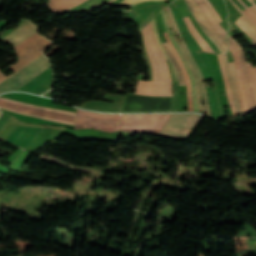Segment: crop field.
Here are the masks:
<instances>
[{
    "mask_svg": "<svg viewBox=\"0 0 256 256\" xmlns=\"http://www.w3.org/2000/svg\"><path fill=\"white\" fill-rule=\"evenodd\" d=\"M142 32L146 50L153 68V82L139 80L135 93L151 96H172L170 72L154 37L151 23H149Z\"/></svg>",
    "mask_w": 256,
    "mask_h": 256,
    "instance_id": "1",
    "label": "crop field"
},
{
    "mask_svg": "<svg viewBox=\"0 0 256 256\" xmlns=\"http://www.w3.org/2000/svg\"><path fill=\"white\" fill-rule=\"evenodd\" d=\"M40 37L41 35L38 32H35L33 35H31L26 40H24L23 42L18 44L16 47H14L16 53L20 52L21 50H23L25 47H27L28 45H30ZM50 44L51 42L42 36L36 42H34L30 46H28L26 49L21 51L19 54H17L18 61H16L14 64L8 67L10 69H13L14 72L5 77L0 71V83L5 79H7L8 77H10L11 75H13L15 72H17L21 68H23L25 65H27L28 63L36 59L38 56H40L42 54L41 51H43Z\"/></svg>",
    "mask_w": 256,
    "mask_h": 256,
    "instance_id": "2",
    "label": "crop field"
},
{
    "mask_svg": "<svg viewBox=\"0 0 256 256\" xmlns=\"http://www.w3.org/2000/svg\"><path fill=\"white\" fill-rule=\"evenodd\" d=\"M170 114L122 115L119 130L158 135Z\"/></svg>",
    "mask_w": 256,
    "mask_h": 256,
    "instance_id": "3",
    "label": "crop field"
},
{
    "mask_svg": "<svg viewBox=\"0 0 256 256\" xmlns=\"http://www.w3.org/2000/svg\"><path fill=\"white\" fill-rule=\"evenodd\" d=\"M0 106L15 110V111H19L22 113L39 116V117H43V118H48V119H52V120H57V121H61V122L72 123V124H74L75 115H76V113H74V112H68V111H63V110L35 106V105H31V104L11 100V99H6V98H2V97H0ZM12 110H10V111H12ZM15 111H13V112H15ZM19 112H17V113H19Z\"/></svg>",
    "mask_w": 256,
    "mask_h": 256,
    "instance_id": "4",
    "label": "crop field"
},
{
    "mask_svg": "<svg viewBox=\"0 0 256 256\" xmlns=\"http://www.w3.org/2000/svg\"><path fill=\"white\" fill-rule=\"evenodd\" d=\"M50 66L45 55H41L36 60L28 64L26 67L15 73L13 76L0 84V93L10 90H16L41 71Z\"/></svg>",
    "mask_w": 256,
    "mask_h": 256,
    "instance_id": "5",
    "label": "crop field"
},
{
    "mask_svg": "<svg viewBox=\"0 0 256 256\" xmlns=\"http://www.w3.org/2000/svg\"><path fill=\"white\" fill-rule=\"evenodd\" d=\"M201 117L202 116L195 114H171L160 133L189 137ZM162 134L159 135L185 140L188 139L184 137L168 136Z\"/></svg>",
    "mask_w": 256,
    "mask_h": 256,
    "instance_id": "6",
    "label": "crop field"
},
{
    "mask_svg": "<svg viewBox=\"0 0 256 256\" xmlns=\"http://www.w3.org/2000/svg\"><path fill=\"white\" fill-rule=\"evenodd\" d=\"M78 117H84L92 120H114L119 121L120 115L114 114H105V113H96V112H88L78 110L77 115ZM76 117L75 126L74 128H94L100 129L108 132H115L118 129L119 122L113 121H91L84 118Z\"/></svg>",
    "mask_w": 256,
    "mask_h": 256,
    "instance_id": "7",
    "label": "crop field"
},
{
    "mask_svg": "<svg viewBox=\"0 0 256 256\" xmlns=\"http://www.w3.org/2000/svg\"><path fill=\"white\" fill-rule=\"evenodd\" d=\"M228 40L230 45L235 49L237 56L239 58L240 67L242 71V76L244 80V88L245 94L248 102V107L250 112L256 110V92L253 85V81L249 72V68L247 65V60L244 55V51L241 46L237 43L236 39H234L230 34L228 35Z\"/></svg>",
    "mask_w": 256,
    "mask_h": 256,
    "instance_id": "8",
    "label": "crop field"
},
{
    "mask_svg": "<svg viewBox=\"0 0 256 256\" xmlns=\"http://www.w3.org/2000/svg\"><path fill=\"white\" fill-rule=\"evenodd\" d=\"M200 28L215 43L221 53L227 51V42L215 31L195 0H185Z\"/></svg>",
    "mask_w": 256,
    "mask_h": 256,
    "instance_id": "9",
    "label": "crop field"
},
{
    "mask_svg": "<svg viewBox=\"0 0 256 256\" xmlns=\"http://www.w3.org/2000/svg\"><path fill=\"white\" fill-rule=\"evenodd\" d=\"M125 96L126 95L105 93V95L98 98V100L112 101L116 103L87 101L80 107L95 111L121 112Z\"/></svg>",
    "mask_w": 256,
    "mask_h": 256,
    "instance_id": "10",
    "label": "crop field"
},
{
    "mask_svg": "<svg viewBox=\"0 0 256 256\" xmlns=\"http://www.w3.org/2000/svg\"><path fill=\"white\" fill-rule=\"evenodd\" d=\"M52 81H53V77H52L51 68L48 67L46 70L41 72L32 80H30L25 85L20 87L18 90L42 94L45 91H47L49 88H51Z\"/></svg>",
    "mask_w": 256,
    "mask_h": 256,
    "instance_id": "11",
    "label": "crop field"
},
{
    "mask_svg": "<svg viewBox=\"0 0 256 256\" xmlns=\"http://www.w3.org/2000/svg\"><path fill=\"white\" fill-rule=\"evenodd\" d=\"M41 129L39 127L18 125L6 141L26 148Z\"/></svg>",
    "mask_w": 256,
    "mask_h": 256,
    "instance_id": "12",
    "label": "crop field"
},
{
    "mask_svg": "<svg viewBox=\"0 0 256 256\" xmlns=\"http://www.w3.org/2000/svg\"><path fill=\"white\" fill-rule=\"evenodd\" d=\"M222 57H223V63H224L226 75L229 80L231 95H232V98L234 101L235 109H236L238 115H243L244 111H243V107H242V103H241V99H240V95H239V89H238V83H237V77H236V73H235L234 63L228 64L226 54L222 55Z\"/></svg>",
    "mask_w": 256,
    "mask_h": 256,
    "instance_id": "13",
    "label": "crop field"
},
{
    "mask_svg": "<svg viewBox=\"0 0 256 256\" xmlns=\"http://www.w3.org/2000/svg\"><path fill=\"white\" fill-rule=\"evenodd\" d=\"M35 31H37V29L34 24L27 20H21L19 26L1 40L11 42L13 46H16Z\"/></svg>",
    "mask_w": 256,
    "mask_h": 256,
    "instance_id": "14",
    "label": "crop field"
},
{
    "mask_svg": "<svg viewBox=\"0 0 256 256\" xmlns=\"http://www.w3.org/2000/svg\"><path fill=\"white\" fill-rule=\"evenodd\" d=\"M167 9H168V12H169V14H170V17H171V19H172V22H173V24H174L176 33H177V35L179 36V38H180V40H181V43H182V45H183V47H184V50H185V52H186L188 58L190 59L191 63L193 64V66H194V68H195V70H196V72H197V74H198V76H199V78H200L201 89H202V94H203V98H204L206 113H207L208 115H211V114H210V110H209V106H208V102H207L205 86H204V84H203V81H204V80H203L202 74H201V72H200V70H199V68H198V66H197V64H196V62H195L193 56H192L191 53L189 52L188 47H187L186 43L184 42V40H183V38H182V36H181V34H180L178 28H177L175 19H174V17H173V14H172V12H171L169 6L167 7Z\"/></svg>",
    "mask_w": 256,
    "mask_h": 256,
    "instance_id": "15",
    "label": "crop field"
},
{
    "mask_svg": "<svg viewBox=\"0 0 256 256\" xmlns=\"http://www.w3.org/2000/svg\"><path fill=\"white\" fill-rule=\"evenodd\" d=\"M162 13H163L164 20H165V23H166V26H167L169 37H170L172 43L174 44V46H175V48H176V50H177V52H178V54H179L183 64H184V66H185V68H186V70H187V72L189 74V77L191 79V83H192V99H193L194 111L199 112V106H198V103H197V100H196V84H195V80H194L193 74H192V72H191L187 62L184 59L185 57L183 58V56H182V54H181V52H180V50H179V48H178V46H177V44L175 42V39H174V37H173V35H172L171 31H170V27H169V24H168V21H167V17H166V13H165L164 9H163Z\"/></svg>",
    "mask_w": 256,
    "mask_h": 256,
    "instance_id": "16",
    "label": "crop field"
},
{
    "mask_svg": "<svg viewBox=\"0 0 256 256\" xmlns=\"http://www.w3.org/2000/svg\"><path fill=\"white\" fill-rule=\"evenodd\" d=\"M86 0H48L54 13H63Z\"/></svg>",
    "mask_w": 256,
    "mask_h": 256,
    "instance_id": "17",
    "label": "crop field"
},
{
    "mask_svg": "<svg viewBox=\"0 0 256 256\" xmlns=\"http://www.w3.org/2000/svg\"><path fill=\"white\" fill-rule=\"evenodd\" d=\"M200 57V59L202 60L210 78H211V82L213 84V87H212V91H213V95H214V102H215V106H216V110H217V114H218V118H223V115L220 111V105H219V100H218V97H217V90H216V84H215V80H214V76H213V73H212V70H211V67L209 65V62L207 60V58L205 57L204 53H197Z\"/></svg>",
    "mask_w": 256,
    "mask_h": 256,
    "instance_id": "18",
    "label": "crop field"
},
{
    "mask_svg": "<svg viewBox=\"0 0 256 256\" xmlns=\"http://www.w3.org/2000/svg\"><path fill=\"white\" fill-rule=\"evenodd\" d=\"M197 3L199 4V6L201 7V9L203 10V12L205 13V15L207 16V18L209 19V21L212 23V25L214 26V28L216 29V31L225 38L226 35V30L218 23V21L214 18V16L212 15L211 11L209 10L208 6L206 5V3L204 2V0H196Z\"/></svg>",
    "mask_w": 256,
    "mask_h": 256,
    "instance_id": "19",
    "label": "crop field"
},
{
    "mask_svg": "<svg viewBox=\"0 0 256 256\" xmlns=\"http://www.w3.org/2000/svg\"><path fill=\"white\" fill-rule=\"evenodd\" d=\"M184 20L190 30V32L192 33V35L194 36V38L196 39V41L198 42V44L200 45V47L206 51V52H212L214 53V51L212 50V48L205 42V40L201 37V35L198 33V31L195 29L191 19L189 18V16L184 17Z\"/></svg>",
    "mask_w": 256,
    "mask_h": 256,
    "instance_id": "20",
    "label": "crop field"
},
{
    "mask_svg": "<svg viewBox=\"0 0 256 256\" xmlns=\"http://www.w3.org/2000/svg\"><path fill=\"white\" fill-rule=\"evenodd\" d=\"M235 23L251 38L256 47V29L242 15Z\"/></svg>",
    "mask_w": 256,
    "mask_h": 256,
    "instance_id": "21",
    "label": "crop field"
},
{
    "mask_svg": "<svg viewBox=\"0 0 256 256\" xmlns=\"http://www.w3.org/2000/svg\"><path fill=\"white\" fill-rule=\"evenodd\" d=\"M164 35L167 38V40H168V42H169V44H170V46H171L175 56H176V59H177L179 65H180V67H181V69H182V71H183V73L185 75V79H186V83H187V90H188V99H189L190 96H191V83H190V79H189L188 74H187V72H186V70H185V68H184V66H183V64H182V62H181V60H180L176 50L174 49V47H173V45H172V43H171L167 33H165ZM188 106H189V111H193L192 99L191 98L188 100Z\"/></svg>",
    "mask_w": 256,
    "mask_h": 256,
    "instance_id": "22",
    "label": "crop field"
},
{
    "mask_svg": "<svg viewBox=\"0 0 256 256\" xmlns=\"http://www.w3.org/2000/svg\"><path fill=\"white\" fill-rule=\"evenodd\" d=\"M230 47V51L232 53V56L234 58L235 61V66H236V72H237V77H238V83H239V89H240V95L242 98V102H243V107L245 110V114L248 113V108H247V103H246V98H245V94H244V90H243V85H242V79H241V72L239 69V65H238V61H237V56L236 53L234 52V50L232 49V47L229 45Z\"/></svg>",
    "mask_w": 256,
    "mask_h": 256,
    "instance_id": "23",
    "label": "crop field"
},
{
    "mask_svg": "<svg viewBox=\"0 0 256 256\" xmlns=\"http://www.w3.org/2000/svg\"><path fill=\"white\" fill-rule=\"evenodd\" d=\"M162 44L166 48V50H167V52H168V54H169V56H170V58H171V60H172V62L174 64V67H175L176 72H177V76L179 78L180 86L185 85V80H184L183 73H182V71H181V69H180V67H179V65H178V63H177V61H176V59H175V57H174L170 47H169V45H168V42H164Z\"/></svg>",
    "mask_w": 256,
    "mask_h": 256,
    "instance_id": "24",
    "label": "crop field"
},
{
    "mask_svg": "<svg viewBox=\"0 0 256 256\" xmlns=\"http://www.w3.org/2000/svg\"><path fill=\"white\" fill-rule=\"evenodd\" d=\"M217 56H218V59H219V62H220V66H221V70H222V74H223V78H224V82H225V87H226V92H227V95H228L231 110H232V113H233L234 117H236L237 115H236L234 105H233V102H232V99H231L230 90H229L227 78H226L223 63H222V57H221V55H217Z\"/></svg>",
    "mask_w": 256,
    "mask_h": 256,
    "instance_id": "25",
    "label": "crop field"
},
{
    "mask_svg": "<svg viewBox=\"0 0 256 256\" xmlns=\"http://www.w3.org/2000/svg\"><path fill=\"white\" fill-rule=\"evenodd\" d=\"M172 5H173V7H174V9H175V11H176L178 17H179V19H180V21H181V23H182L184 29H185V32H186L188 38H189L190 41L192 42L194 48L196 49V51L200 50V47H199L198 44L196 43L195 39L193 38V36L191 35V33L188 31V29H187V27H186V25H185V23H184V21H183V19H182V16H181V14H180V12H179V10H178V8H177L175 2L172 3Z\"/></svg>",
    "mask_w": 256,
    "mask_h": 256,
    "instance_id": "26",
    "label": "crop field"
},
{
    "mask_svg": "<svg viewBox=\"0 0 256 256\" xmlns=\"http://www.w3.org/2000/svg\"><path fill=\"white\" fill-rule=\"evenodd\" d=\"M142 1H165V0H123L121 3L119 4H123V5H135L138 4Z\"/></svg>",
    "mask_w": 256,
    "mask_h": 256,
    "instance_id": "27",
    "label": "crop field"
},
{
    "mask_svg": "<svg viewBox=\"0 0 256 256\" xmlns=\"http://www.w3.org/2000/svg\"><path fill=\"white\" fill-rule=\"evenodd\" d=\"M234 6H235V8L241 13V14H243L244 16H245V18L247 19V20H249L253 25H254V27L256 28V24L232 1V0H229Z\"/></svg>",
    "mask_w": 256,
    "mask_h": 256,
    "instance_id": "28",
    "label": "crop field"
},
{
    "mask_svg": "<svg viewBox=\"0 0 256 256\" xmlns=\"http://www.w3.org/2000/svg\"><path fill=\"white\" fill-rule=\"evenodd\" d=\"M153 21H154V19H153ZM154 25H155V22H154ZM155 30H156V33H157L156 25H155ZM157 36H158V38H159L158 33H157ZM159 40H160V38H159ZM161 45H162V44H161ZM162 47H163V45H162ZM163 49H164V47H163ZM164 51H165V49H164ZM165 53H166V51H165ZM166 55H167V53H166ZM167 57H168V55H167ZM168 59H169V62H170V64H171V66H172V69H173V72H174V76H175V80H178V78H177V76H176V73H175V69H174V67H173V65H172V63H171V61H170V58L168 57Z\"/></svg>",
    "mask_w": 256,
    "mask_h": 256,
    "instance_id": "29",
    "label": "crop field"
},
{
    "mask_svg": "<svg viewBox=\"0 0 256 256\" xmlns=\"http://www.w3.org/2000/svg\"><path fill=\"white\" fill-rule=\"evenodd\" d=\"M205 2H206L207 5L211 8V10H212L214 16L216 17V19H217L219 22H221V19H220V18L218 17V15L216 14V12H215L213 6L210 4V2H209L208 0H205Z\"/></svg>",
    "mask_w": 256,
    "mask_h": 256,
    "instance_id": "30",
    "label": "crop field"
},
{
    "mask_svg": "<svg viewBox=\"0 0 256 256\" xmlns=\"http://www.w3.org/2000/svg\"><path fill=\"white\" fill-rule=\"evenodd\" d=\"M249 68H250L251 75H252V78H253V81H254V85H255V88H256V76L254 74V71H253V68H252L251 64H249Z\"/></svg>",
    "mask_w": 256,
    "mask_h": 256,
    "instance_id": "31",
    "label": "crop field"
},
{
    "mask_svg": "<svg viewBox=\"0 0 256 256\" xmlns=\"http://www.w3.org/2000/svg\"><path fill=\"white\" fill-rule=\"evenodd\" d=\"M131 95H136V94H131ZM139 96H142V95H139ZM127 97H128V94H127V96H126V99H127ZM163 98H171V111H172V97H163ZM126 99H125V102H124V106H123L122 112H124V109H125Z\"/></svg>",
    "mask_w": 256,
    "mask_h": 256,
    "instance_id": "32",
    "label": "crop field"
},
{
    "mask_svg": "<svg viewBox=\"0 0 256 256\" xmlns=\"http://www.w3.org/2000/svg\"><path fill=\"white\" fill-rule=\"evenodd\" d=\"M239 2H240L251 14H253V15L256 17V14H255L252 10H250V9L242 2V0H239Z\"/></svg>",
    "mask_w": 256,
    "mask_h": 256,
    "instance_id": "33",
    "label": "crop field"
},
{
    "mask_svg": "<svg viewBox=\"0 0 256 256\" xmlns=\"http://www.w3.org/2000/svg\"><path fill=\"white\" fill-rule=\"evenodd\" d=\"M152 25H153V21H152ZM153 29H154V25H153ZM154 33H155V30H154ZM155 36H156V34H155ZM156 38H157V36H156ZM157 41H158V38H157ZM158 43H159V41H158ZM159 46L161 48L160 43H159ZM161 50H162V48H161ZM162 52H163V50H162ZM163 54H164V52H163ZM164 56H165V54H164ZM165 59L167 60L166 56H165Z\"/></svg>",
    "mask_w": 256,
    "mask_h": 256,
    "instance_id": "34",
    "label": "crop field"
},
{
    "mask_svg": "<svg viewBox=\"0 0 256 256\" xmlns=\"http://www.w3.org/2000/svg\"><path fill=\"white\" fill-rule=\"evenodd\" d=\"M253 6L256 7V3L253 0H249Z\"/></svg>",
    "mask_w": 256,
    "mask_h": 256,
    "instance_id": "35",
    "label": "crop field"
},
{
    "mask_svg": "<svg viewBox=\"0 0 256 256\" xmlns=\"http://www.w3.org/2000/svg\"><path fill=\"white\" fill-rule=\"evenodd\" d=\"M255 7V6H254ZM253 6L249 7L251 8L255 13H256V9Z\"/></svg>",
    "mask_w": 256,
    "mask_h": 256,
    "instance_id": "36",
    "label": "crop field"
},
{
    "mask_svg": "<svg viewBox=\"0 0 256 256\" xmlns=\"http://www.w3.org/2000/svg\"><path fill=\"white\" fill-rule=\"evenodd\" d=\"M244 12H245V11H244ZM245 13H246V12H245ZM249 15H250L252 18H254V19L256 20V18H255V17H253L250 13H249ZM254 19H253V20H254ZM255 20H254V21H255ZM255 22H256V21H255Z\"/></svg>",
    "mask_w": 256,
    "mask_h": 256,
    "instance_id": "37",
    "label": "crop field"
},
{
    "mask_svg": "<svg viewBox=\"0 0 256 256\" xmlns=\"http://www.w3.org/2000/svg\"><path fill=\"white\" fill-rule=\"evenodd\" d=\"M254 71H255V74H256V66H254Z\"/></svg>",
    "mask_w": 256,
    "mask_h": 256,
    "instance_id": "38",
    "label": "crop field"
},
{
    "mask_svg": "<svg viewBox=\"0 0 256 256\" xmlns=\"http://www.w3.org/2000/svg\"><path fill=\"white\" fill-rule=\"evenodd\" d=\"M112 1H114V0H111L109 3H111Z\"/></svg>",
    "mask_w": 256,
    "mask_h": 256,
    "instance_id": "39",
    "label": "crop field"
}]
</instances>
